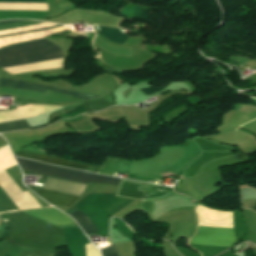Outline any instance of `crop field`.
I'll use <instances>...</instances> for the list:
<instances>
[{
    "instance_id": "crop-field-1",
    "label": "crop field",
    "mask_w": 256,
    "mask_h": 256,
    "mask_svg": "<svg viewBox=\"0 0 256 256\" xmlns=\"http://www.w3.org/2000/svg\"><path fill=\"white\" fill-rule=\"evenodd\" d=\"M63 57L62 49L46 39L0 50V67H11Z\"/></svg>"
},
{
    "instance_id": "crop-field-2",
    "label": "crop field",
    "mask_w": 256,
    "mask_h": 256,
    "mask_svg": "<svg viewBox=\"0 0 256 256\" xmlns=\"http://www.w3.org/2000/svg\"><path fill=\"white\" fill-rule=\"evenodd\" d=\"M21 168L34 172L37 174H41L44 176H51L59 179L72 180L76 182H81L87 184L89 183H106V184H114L118 185L120 179L94 175L82 171L71 170L60 168L56 166H51L43 163H36L24 159H16Z\"/></svg>"
},
{
    "instance_id": "crop-field-3",
    "label": "crop field",
    "mask_w": 256,
    "mask_h": 256,
    "mask_svg": "<svg viewBox=\"0 0 256 256\" xmlns=\"http://www.w3.org/2000/svg\"><path fill=\"white\" fill-rule=\"evenodd\" d=\"M236 241L231 228H206L199 227L197 234L190 243L220 245L230 247Z\"/></svg>"
},
{
    "instance_id": "crop-field-4",
    "label": "crop field",
    "mask_w": 256,
    "mask_h": 256,
    "mask_svg": "<svg viewBox=\"0 0 256 256\" xmlns=\"http://www.w3.org/2000/svg\"><path fill=\"white\" fill-rule=\"evenodd\" d=\"M0 86L15 88V89H22V90H30V91H36V92H42V93H44L46 89H49V90L65 93L67 95L85 99V100L100 97V96H95V95H90V94H85V93H80L75 91H65V90L57 89L50 86H44V85H40L32 82L10 80V79H3V78H1L0 80Z\"/></svg>"
},
{
    "instance_id": "crop-field-5",
    "label": "crop field",
    "mask_w": 256,
    "mask_h": 256,
    "mask_svg": "<svg viewBox=\"0 0 256 256\" xmlns=\"http://www.w3.org/2000/svg\"><path fill=\"white\" fill-rule=\"evenodd\" d=\"M24 212L50 222L56 226L75 224L74 221L67 215L59 212L58 210L51 208H41L34 210H25Z\"/></svg>"
},
{
    "instance_id": "crop-field-6",
    "label": "crop field",
    "mask_w": 256,
    "mask_h": 256,
    "mask_svg": "<svg viewBox=\"0 0 256 256\" xmlns=\"http://www.w3.org/2000/svg\"><path fill=\"white\" fill-rule=\"evenodd\" d=\"M81 186H82L81 183L59 180V179L48 177L43 188L77 195ZM85 188H86V185L84 184L79 193V196L83 193Z\"/></svg>"
},
{
    "instance_id": "crop-field-7",
    "label": "crop field",
    "mask_w": 256,
    "mask_h": 256,
    "mask_svg": "<svg viewBox=\"0 0 256 256\" xmlns=\"http://www.w3.org/2000/svg\"><path fill=\"white\" fill-rule=\"evenodd\" d=\"M15 155L27 157V158H31V159H35V160H40V161L47 162V163L57 164V165H61V166H66V167H71V168H76V169H81V170H87V171L94 172V173H97V171L100 169V168H96V167L84 166V165H80V164H76V163H72V162H68V161H64V160L53 159V158H49L47 156L32 154V153L23 152V151H20Z\"/></svg>"
},
{
    "instance_id": "crop-field-8",
    "label": "crop field",
    "mask_w": 256,
    "mask_h": 256,
    "mask_svg": "<svg viewBox=\"0 0 256 256\" xmlns=\"http://www.w3.org/2000/svg\"><path fill=\"white\" fill-rule=\"evenodd\" d=\"M37 194L51 204L67 206V207H69L78 198L77 196L45 190V189L37 192Z\"/></svg>"
},
{
    "instance_id": "crop-field-9",
    "label": "crop field",
    "mask_w": 256,
    "mask_h": 256,
    "mask_svg": "<svg viewBox=\"0 0 256 256\" xmlns=\"http://www.w3.org/2000/svg\"><path fill=\"white\" fill-rule=\"evenodd\" d=\"M99 33L106 37L108 40L122 44L126 39V35L122 34L119 28L98 26Z\"/></svg>"
},
{
    "instance_id": "crop-field-10",
    "label": "crop field",
    "mask_w": 256,
    "mask_h": 256,
    "mask_svg": "<svg viewBox=\"0 0 256 256\" xmlns=\"http://www.w3.org/2000/svg\"><path fill=\"white\" fill-rule=\"evenodd\" d=\"M69 215L76 220V222L82 227L86 234L97 232L96 227L83 213L75 209L71 213H69Z\"/></svg>"
},
{
    "instance_id": "crop-field-11",
    "label": "crop field",
    "mask_w": 256,
    "mask_h": 256,
    "mask_svg": "<svg viewBox=\"0 0 256 256\" xmlns=\"http://www.w3.org/2000/svg\"><path fill=\"white\" fill-rule=\"evenodd\" d=\"M28 127L30 126L25 119L0 123V131L2 132H7V131L21 129V128H28Z\"/></svg>"
},
{
    "instance_id": "crop-field-12",
    "label": "crop field",
    "mask_w": 256,
    "mask_h": 256,
    "mask_svg": "<svg viewBox=\"0 0 256 256\" xmlns=\"http://www.w3.org/2000/svg\"><path fill=\"white\" fill-rule=\"evenodd\" d=\"M22 21H28V20H6V21H0V26H1V25H6V24H12V23H17V22H22ZM61 26H62V25H57V26H52V27H47V28H42V29H37V30H32V31H27V32H22V33H17V34L2 36V37H8V36H13V35H18V34H24V33L34 32V31H40V30H45V29H50V28H56V27H61ZM2 37H0V38H2Z\"/></svg>"
},
{
    "instance_id": "crop-field-13",
    "label": "crop field",
    "mask_w": 256,
    "mask_h": 256,
    "mask_svg": "<svg viewBox=\"0 0 256 256\" xmlns=\"http://www.w3.org/2000/svg\"><path fill=\"white\" fill-rule=\"evenodd\" d=\"M103 256H117L116 245L101 250Z\"/></svg>"
},
{
    "instance_id": "crop-field-14",
    "label": "crop field",
    "mask_w": 256,
    "mask_h": 256,
    "mask_svg": "<svg viewBox=\"0 0 256 256\" xmlns=\"http://www.w3.org/2000/svg\"><path fill=\"white\" fill-rule=\"evenodd\" d=\"M254 210H256V205H255V207H254Z\"/></svg>"
},
{
    "instance_id": "crop-field-15",
    "label": "crop field",
    "mask_w": 256,
    "mask_h": 256,
    "mask_svg": "<svg viewBox=\"0 0 256 256\" xmlns=\"http://www.w3.org/2000/svg\"><path fill=\"white\" fill-rule=\"evenodd\" d=\"M200 198H201V197H200ZM200 198H198V199H200ZM198 199H197V200H198Z\"/></svg>"
}]
</instances>
